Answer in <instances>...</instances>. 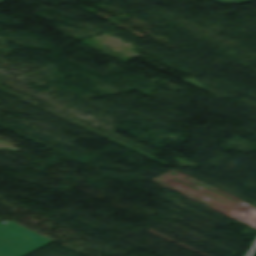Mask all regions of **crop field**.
<instances>
[{
	"label": "crop field",
	"mask_w": 256,
	"mask_h": 256,
	"mask_svg": "<svg viewBox=\"0 0 256 256\" xmlns=\"http://www.w3.org/2000/svg\"><path fill=\"white\" fill-rule=\"evenodd\" d=\"M223 5L229 4V3H247L251 2L250 0H215Z\"/></svg>",
	"instance_id": "crop-field-2"
},
{
	"label": "crop field",
	"mask_w": 256,
	"mask_h": 256,
	"mask_svg": "<svg viewBox=\"0 0 256 256\" xmlns=\"http://www.w3.org/2000/svg\"><path fill=\"white\" fill-rule=\"evenodd\" d=\"M51 242L14 223L0 224V256H24Z\"/></svg>",
	"instance_id": "crop-field-1"
},
{
	"label": "crop field",
	"mask_w": 256,
	"mask_h": 256,
	"mask_svg": "<svg viewBox=\"0 0 256 256\" xmlns=\"http://www.w3.org/2000/svg\"><path fill=\"white\" fill-rule=\"evenodd\" d=\"M1 2H4V1L0 0V3H1Z\"/></svg>",
	"instance_id": "crop-field-3"
},
{
	"label": "crop field",
	"mask_w": 256,
	"mask_h": 256,
	"mask_svg": "<svg viewBox=\"0 0 256 256\" xmlns=\"http://www.w3.org/2000/svg\"><path fill=\"white\" fill-rule=\"evenodd\" d=\"M4 1H7V0H4Z\"/></svg>",
	"instance_id": "crop-field-4"
}]
</instances>
